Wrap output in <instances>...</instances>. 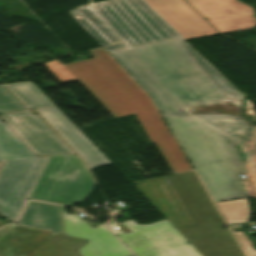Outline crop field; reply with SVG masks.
<instances>
[{
    "mask_svg": "<svg viewBox=\"0 0 256 256\" xmlns=\"http://www.w3.org/2000/svg\"><path fill=\"white\" fill-rule=\"evenodd\" d=\"M150 94L214 201L245 198L236 177L242 172L222 135L192 116L174 115L178 108L150 78L124 46L107 49Z\"/></svg>",
    "mask_w": 256,
    "mask_h": 256,
    "instance_id": "obj_1",
    "label": "crop field"
},
{
    "mask_svg": "<svg viewBox=\"0 0 256 256\" xmlns=\"http://www.w3.org/2000/svg\"><path fill=\"white\" fill-rule=\"evenodd\" d=\"M89 53L94 58L65 66L114 118L135 115L172 172L190 170L179 146L143 90L102 48Z\"/></svg>",
    "mask_w": 256,
    "mask_h": 256,
    "instance_id": "obj_2",
    "label": "crop field"
},
{
    "mask_svg": "<svg viewBox=\"0 0 256 256\" xmlns=\"http://www.w3.org/2000/svg\"><path fill=\"white\" fill-rule=\"evenodd\" d=\"M126 45L173 38L225 98L221 104L186 108L189 113L238 112L244 93L237 91L141 0H108L93 4Z\"/></svg>",
    "mask_w": 256,
    "mask_h": 256,
    "instance_id": "obj_3",
    "label": "crop field"
},
{
    "mask_svg": "<svg viewBox=\"0 0 256 256\" xmlns=\"http://www.w3.org/2000/svg\"><path fill=\"white\" fill-rule=\"evenodd\" d=\"M129 48L181 108L217 104L224 99L173 39Z\"/></svg>",
    "mask_w": 256,
    "mask_h": 256,
    "instance_id": "obj_4",
    "label": "crop field"
},
{
    "mask_svg": "<svg viewBox=\"0 0 256 256\" xmlns=\"http://www.w3.org/2000/svg\"><path fill=\"white\" fill-rule=\"evenodd\" d=\"M168 179L196 225L175 228L203 256H244L194 171Z\"/></svg>",
    "mask_w": 256,
    "mask_h": 256,
    "instance_id": "obj_5",
    "label": "crop field"
},
{
    "mask_svg": "<svg viewBox=\"0 0 256 256\" xmlns=\"http://www.w3.org/2000/svg\"><path fill=\"white\" fill-rule=\"evenodd\" d=\"M94 185L77 155L50 156L29 198L70 206L83 201Z\"/></svg>",
    "mask_w": 256,
    "mask_h": 256,
    "instance_id": "obj_6",
    "label": "crop field"
},
{
    "mask_svg": "<svg viewBox=\"0 0 256 256\" xmlns=\"http://www.w3.org/2000/svg\"><path fill=\"white\" fill-rule=\"evenodd\" d=\"M120 224L131 233H123L114 220L107 226L136 256H201L166 219L150 225L133 219Z\"/></svg>",
    "mask_w": 256,
    "mask_h": 256,
    "instance_id": "obj_7",
    "label": "crop field"
},
{
    "mask_svg": "<svg viewBox=\"0 0 256 256\" xmlns=\"http://www.w3.org/2000/svg\"><path fill=\"white\" fill-rule=\"evenodd\" d=\"M85 242L14 223L0 229V256H81L76 250Z\"/></svg>",
    "mask_w": 256,
    "mask_h": 256,
    "instance_id": "obj_8",
    "label": "crop field"
},
{
    "mask_svg": "<svg viewBox=\"0 0 256 256\" xmlns=\"http://www.w3.org/2000/svg\"><path fill=\"white\" fill-rule=\"evenodd\" d=\"M195 118L220 132L229 144L238 164L244 171L238 179L246 197H256V128L229 114H193ZM246 178L242 179L240 175Z\"/></svg>",
    "mask_w": 256,
    "mask_h": 256,
    "instance_id": "obj_9",
    "label": "crop field"
},
{
    "mask_svg": "<svg viewBox=\"0 0 256 256\" xmlns=\"http://www.w3.org/2000/svg\"><path fill=\"white\" fill-rule=\"evenodd\" d=\"M48 156L6 160L0 172V215L18 219Z\"/></svg>",
    "mask_w": 256,
    "mask_h": 256,
    "instance_id": "obj_10",
    "label": "crop field"
},
{
    "mask_svg": "<svg viewBox=\"0 0 256 256\" xmlns=\"http://www.w3.org/2000/svg\"><path fill=\"white\" fill-rule=\"evenodd\" d=\"M0 117L37 156L73 153L39 116H33L29 110L1 113Z\"/></svg>",
    "mask_w": 256,
    "mask_h": 256,
    "instance_id": "obj_11",
    "label": "crop field"
},
{
    "mask_svg": "<svg viewBox=\"0 0 256 256\" xmlns=\"http://www.w3.org/2000/svg\"><path fill=\"white\" fill-rule=\"evenodd\" d=\"M65 234L89 240L77 251L82 256H125L131 253L104 226L93 228L78 215H66L65 207L60 206Z\"/></svg>",
    "mask_w": 256,
    "mask_h": 256,
    "instance_id": "obj_12",
    "label": "crop field"
},
{
    "mask_svg": "<svg viewBox=\"0 0 256 256\" xmlns=\"http://www.w3.org/2000/svg\"><path fill=\"white\" fill-rule=\"evenodd\" d=\"M184 40L217 35L184 0H142Z\"/></svg>",
    "mask_w": 256,
    "mask_h": 256,
    "instance_id": "obj_13",
    "label": "crop field"
},
{
    "mask_svg": "<svg viewBox=\"0 0 256 256\" xmlns=\"http://www.w3.org/2000/svg\"><path fill=\"white\" fill-rule=\"evenodd\" d=\"M37 110L87 162L91 169L111 164V162L56 107Z\"/></svg>",
    "mask_w": 256,
    "mask_h": 256,
    "instance_id": "obj_14",
    "label": "crop field"
},
{
    "mask_svg": "<svg viewBox=\"0 0 256 256\" xmlns=\"http://www.w3.org/2000/svg\"><path fill=\"white\" fill-rule=\"evenodd\" d=\"M18 224L64 234L60 208L57 205L30 201Z\"/></svg>",
    "mask_w": 256,
    "mask_h": 256,
    "instance_id": "obj_15",
    "label": "crop field"
},
{
    "mask_svg": "<svg viewBox=\"0 0 256 256\" xmlns=\"http://www.w3.org/2000/svg\"><path fill=\"white\" fill-rule=\"evenodd\" d=\"M70 14L104 49L122 45L91 6L77 8Z\"/></svg>",
    "mask_w": 256,
    "mask_h": 256,
    "instance_id": "obj_16",
    "label": "crop field"
},
{
    "mask_svg": "<svg viewBox=\"0 0 256 256\" xmlns=\"http://www.w3.org/2000/svg\"><path fill=\"white\" fill-rule=\"evenodd\" d=\"M220 32L250 29L256 25L253 8L236 0L227 15L207 19Z\"/></svg>",
    "mask_w": 256,
    "mask_h": 256,
    "instance_id": "obj_17",
    "label": "crop field"
},
{
    "mask_svg": "<svg viewBox=\"0 0 256 256\" xmlns=\"http://www.w3.org/2000/svg\"><path fill=\"white\" fill-rule=\"evenodd\" d=\"M32 156L36 155L6 124L0 121V162H3V159Z\"/></svg>",
    "mask_w": 256,
    "mask_h": 256,
    "instance_id": "obj_18",
    "label": "crop field"
},
{
    "mask_svg": "<svg viewBox=\"0 0 256 256\" xmlns=\"http://www.w3.org/2000/svg\"><path fill=\"white\" fill-rule=\"evenodd\" d=\"M6 85L29 109L54 106L32 81Z\"/></svg>",
    "mask_w": 256,
    "mask_h": 256,
    "instance_id": "obj_19",
    "label": "crop field"
},
{
    "mask_svg": "<svg viewBox=\"0 0 256 256\" xmlns=\"http://www.w3.org/2000/svg\"><path fill=\"white\" fill-rule=\"evenodd\" d=\"M205 18L227 14L235 0H187Z\"/></svg>",
    "mask_w": 256,
    "mask_h": 256,
    "instance_id": "obj_20",
    "label": "crop field"
},
{
    "mask_svg": "<svg viewBox=\"0 0 256 256\" xmlns=\"http://www.w3.org/2000/svg\"><path fill=\"white\" fill-rule=\"evenodd\" d=\"M27 109L4 85H0V113Z\"/></svg>",
    "mask_w": 256,
    "mask_h": 256,
    "instance_id": "obj_21",
    "label": "crop field"
},
{
    "mask_svg": "<svg viewBox=\"0 0 256 256\" xmlns=\"http://www.w3.org/2000/svg\"><path fill=\"white\" fill-rule=\"evenodd\" d=\"M43 65L48 68L63 83L76 80V78L58 59L43 63Z\"/></svg>",
    "mask_w": 256,
    "mask_h": 256,
    "instance_id": "obj_22",
    "label": "crop field"
},
{
    "mask_svg": "<svg viewBox=\"0 0 256 256\" xmlns=\"http://www.w3.org/2000/svg\"><path fill=\"white\" fill-rule=\"evenodd\" d=\"M2 163H0V166H1Z\"/></svg>",
    "mask_w": 256,
    "mask_h": 256,
    "instance_id": "obj_23",
    "label": "crop field"
},
{
    "mask_svg": "<svg viewBox=\"0 0 256 256\" xmlns=\"http://www.w3.org/2000/svg\"><path fill=\"white\" fill-rule=\"evenodd\" d=\"M130 256H133V255H130Z\"/></svg>",
    "mask_w": 256,
    "mask_h": 256,
    "instance_id": "obj_24",
    "label": "crop field"
}]
</instances>
